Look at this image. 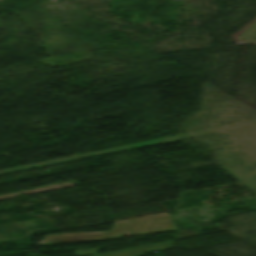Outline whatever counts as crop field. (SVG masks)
Wrapping results in <instances>:
<instances>
[{
  "mask_svg": "<svg viewBox=\"0 0 256 256\" xmlns=\"http://www.w3.org/2000/svg\"><path fill=\"white\" fill-rule=\"evenodd\" d=\"M175 230L168 213L114 222L109 233L47 236L51 243L107 240Z\"/></svg>",
  "mask_w": 256,
  "mask_h": 256,
  "instance_id": "1",
  "label": "crop field"
},
{
  "mask_svg": "<svg viewBox=\"0 0 256 256\" xmlns=\"http://www.w3.org/2000/svg\"><path fill=\"white\" fill-rule=\"evenodd\" d=\"M173 242L174 241H168V242L152 244V245L127 249V250H121V251H116V252H111V253L96 254V256H143L144 253H146V252L170 248L173 246Z\"/></svg>",
  "mask_w": 256,
  "mask_h": 256,
  "instance_id": "2",
  "label": "crop field"
},
{
  "mask_svg": "<svg viewBox=\"0 0 256 256\" xmlns=\"http://www.w3.org/2000/svg\"><path fill=\"white\" fill-rule=\"evenodd\" d=\"M97 251H98V248L84 249V250H75L77 255L96 254Z\"/></svg>",
  "mask_w": 256,
  "mask_h": 256,
  "instance_id": "3",
  "label": "crop field"
}]
</instances>
